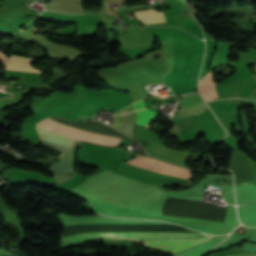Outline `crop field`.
I'll return each mask as SVG.
<instances>
[{
	"mask_svg": "<svg viewBox=\"0 0 256 256\" xmlns=\"http://www.w3.org/2000/svg\"><path fill=\"white\" fill-rule=\"evenodd\" d=\"M252 76L248 66L239 68L233 75L229 76L222 84H217L221 94L237 82ZM213 81L212 72L199 81V90L205 100L214 99L220 96V92Z\"/></svg>",
	"mask_w": 256,
	"mask_h": 256,
	"instance_id": "obj_3",
	"label": "crop field"
},
{
	"mask_svg": "<svg viewBox=\"0 0 256 256\" xmlns=\"http://www.w3.org/2000/svg\"><path fill=\"white\" fill-rule=\"evenodd\" d=\"M38 126L45 128L48 131L59 134V135H63V136H67V137H71V138H75V139H80V140H84L87 142L96 143V144L105 145V146H116L119 143V141L121 140L118 138H112V137L80 130L77 128L65 126V125H62V124H60L56 121H53L49 118L39 122ZM38 126H37V131H38L41 139H43V140H46V141H49V142H52V143H55L58 145H62L65 147H69V148H71V146L75 142V139H71V138H67V137H63V136H59V135L50 133Z\"/></svg>",
	"mask_w": 256,
	"mask_h": 256,
	"instance_id": "obj_1",
	"label": "crop field"
},
{
	"mask_svg": "<svg viewBox=\"0 0 256 256\" xmlns=\"http://www.w3.org/2000/svg\"><path fill=\"white\" fill-rule=\"evenodd\" d=\"M136 136H137V135H136ZM137 137L143 138V137H141V136H137ZM144 139H146V138H144ZM146 140H148V139H146ZM148 141H150V140H148Z\"/></svg>",
	"mask_w": 256,
	"mask_h": 256,
	"instance_id": "obj_10",
	"label": "crop field"
},
{
	"mask_svg": "<svg viewBox=\"0 0 256 256\" xmlns=\"http://www.w3.org/2000/svg\"><path fill=\"white\" fill-rule=\"evenodd\" d=\"M32 61H33V59H30V58H24V57L11 55L9 58V61L7 63L6 69L15 70V71L42 73V71L37 70L30 66V63Z\"/></svg>",
	"mask_w": 256,
	"mask_h": 256,
	"instance_id": "obj_7",
	"label": "crop field"
},
{
	"mask_svg": "<svg viewBox=\"0 0 256 256\" xmlns=\"http://www.w3.org/2000/svg\"><path fill=\"white\" fill-rule=\"evenodd\" d=\"M134 111L137 115L136 125L146 127L156 116V111L146 108L143 100L133 104Z\"/></svg>",
	"mask_w": 256,
	"mask_h": 256,
	"instance_id": "obj_6",
	"label": "crop field"
},
{
	"mask_svg": "<svg viewBox=\"0 0 256 256\" xmlns=\"http://www.w3.org/2000/svg\"><path fill=\"white\" fill-rule=\"evenodd\" d=\"M0 60L3 61V64H4V63L6 62V60H7V57H6L5 54L2 53V52H0Z\"/></svg>",
	"mask_w": 256,
	"mask_h": 256,
	"instance_id": "obj_9",
	"label": "crop field"
},
{
	"mask_svg": "<svg viewBox=\"0 0 256 256\" xmlns=\"http://www.w3.org/2000/svg\"><path fill=\"white\" fill-rule=\"evenodd\" d=\"M136 17L144 24H152L166 21L162 12L154 9L135 11Z\"/></svg>",
	"mask_w": 256,
	"mask_h": 256,
	"instance_id": "obj_8",
	"label": "crop field"
},
{
	"mask_svg": "<svg viewBox=\"0 0 256 256\" xmlns=\"http://www.w3.org/2000/svg\"><path fill=\"white\" fill-rule=\"evenodd\" d=\"M127 163L139 166L149 171L191 179L190 170L178 168L169 163H165L159 160L139 156L131 161H128Z\"/></svg>",
	"mask_w": 256,
	"mask_h": 256,
	"instance_id": "obj_4",
	"label": "crop field"
},
{
	"mask_svg": "<svg viewBox=\"0 0 256 256\" xmlns=\"http://www.w3.org/2000/svg\"><path fill=\"white\" fill-rule=\"evenodd\" d=\"M210 239H212V237L201 240V241H155V242L144 243L143 246L152 248L155 250H159V251L173 252V251L183 250L190 246L206 242Z\"/></svg>",
	"mask_w": 256,
	"mask_h": 256,
	"instance_id": "obj_5",
	"label": "crop field"
},
{
	"mask_svg": "<svg viewBox=\"0 0 256 256\" xmlns=\"http://www.w3.org/2000/svg\"><path fill=\"white\" fill-rule=\"evenodd\" d=\"M210 235L190 234V233H98V234H80L65 239L64 247L77 244L84 241L94 240L96 237H127L133 240L155 241L170 239H190L199 240Z\"/></svg>",
	"mask_w": 256,
	"mask_h": 256,
	"instance_id": "obj_2",
	"label": "crop field"
}]
</instances>
